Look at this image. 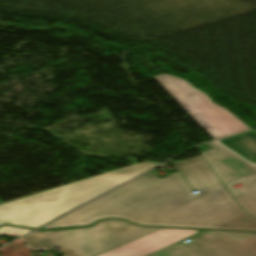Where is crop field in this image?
<instances>
[{
    "label": "crop field",
    "mask_w": 256,
    "mask_h": 256,
    "mask_svg": "<svg viewBox=\"0 0 256 256\" xmlns=\"http://www.w3.org/2000/svg\"><path fill=\"white\" fill-rule=\"evenodd\" d=\"M208 145L213 150L201 153V155L244 212L256 217V178L243 182L242 184L245 185L243 187L232 188V185L256 176V169L219 144Z\"/></svg>",
    "instance_id": "crop-field-5"
},
{
    "label": "crop field",
    "mask_w": 256,
    "mask_h": 256,
    "mask_svg": "<svg viewBox=\"0 0 256 256\" xmlns=\"http://www.w3.org/2000/svg\"><path fill=\"white\" fill-rule=\"evenodd\" d=\"M173 165L178 171L163 179L148 173L43 228L117 217L142 225L256 231V218L243 212L202 156Z\"/></svg>",
    "instance_id": "crop-field-1"
},
{
    "label": "crop field",
    "mask_w": 256,
    "mask_h": 256,
    "mask_svg": "<svg viewBox=\"0 0 256 256\" xmlns=\"http://www.w3.org/2000/svg\"><path fill=\"white\" fill-rule=\"evenodd\" d=\"M28 231H30V229H24V228L12 227V226H3L0 228V236L17 238Z\"/></svg>",
    "instance_id": "crop-field-9"
},
{
    "label": "crop field",
    "mask_w": 256,
    "mask_h": 256,
    "mask_svg": "<svg viewBox=\"0 0 256 256\" xmlns=\"http://www.w3.org/2000/svg\"><path fill=\"white\" fill-rule=\"evenodd\" d=\"M155 166L142 163L77 181L0 206V224L36 228L65 211Z\"/></svg>",
    "instance_id": "crop-field-2"
},
{
    "label": "crop field",
    "mask_w": 256,
    "mask_h": 256,
    "mask_svg": "<svg viewBox=\"0 0 256 256\" xmlns=\"http://www.w3.org/2000/svg\"><path fill=\"white\" fill-rule=\"evenodd\" d=\"M157 229L107 220L79 230L35 231L23 239L32 248L57 245L66 256H95Z\"/></svg>",
    "instance_id": "crop-field-3"
},
{
    "label": "crop field",
    "mask_w": 256,
    "mask_h": 256,
    "mask_svg": "<svg viewBox=\"0 0 256 256\" xmlns=\"http://www.w3.org/2000/svg\"><path fill=\"white\" fill-rule=\"evenodd\" d=\"M201 231L161 228L98 256H147Z\"/></svg>",
    "instance_id": "crop-field-7"
},
{
    "label": "crop field",
    "mask_w": 256,
    "mask_h": 256,
    "mask_svg": "<svg viewBox=\"0 0 256 256\" xmlns=\"http://www.w3.org/2000/svg\"><path fill=\"white\" fill-rule=\"evenodd\" d=\"M250 163H256V133L254 131L219 141Z\"/></svg>",
    "instance_id": "crop-field-8"
},
{
    "label": "crop field",
    "mask_w": 256,
    "mask_h": 256,
    "mask_svg": "<svg viewBox=\"0 0 256 256\" xmlns=\"http://www.w3.org/2000/svg\"><path fill=\"white\" fill-rule=\"evenodd\" d=\"M152 256H256V234L206 231Z\"/></svg>",
    "instance_id": "crop-field-6"
},
{
    "label": "crop field",
    "mask_w": 256,
    "mask_h": 256,
    "mask_svg": "<svg viewBox=\"0 0 256 256\" xmlns=\"http://www.w3.org/2000/svg\"><path fill=\"white\" fill-rule=\"evenodd\" d=\"M0 204H1V202H0Z\"/></svg>",
    "instance_id": "crop-field-10"
},
{
    "label": "crop field",
    "mask_w": 256,
    "mask_h": 256,
    "mask_svg": "<svg viewBox=\"0 0 256 256\" xmlns=\"http://www.w3.org/2000/svg\"><path fill=\"white\" fill-rule=\"evenodd\" d=\"M162 87L214 139L250 130L226 109L213 104L188 82L166 74L154 77Z\"/></svg>",
    "instance_id": "crop-field-4"
}]
</instances>
